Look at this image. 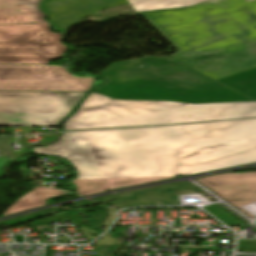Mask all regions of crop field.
I'll return each instance as SVG.
<instances>
[{"instance_id": "obj_1", "label": "crop field", "mask_w": 256, "mask_h": 256, "mask_svg": "<svg viewBox=\"0 0 256 256\" xmlns=\"http://www.w3.org/2000/svg\"><path fill=\"white\" fill-rule=\"evenodd\" d=\"M33 150L66 158L77 179L191 175L256 162V119L63 133Z\"/></svg>"}, {"instance_id": "obj_2", "label": "crop field", "mask_w": 256, "mask_h": 256, "mask_svg": "<svg viewBox=\"0 0 256 256\" xmlns=\"http://www.w3.org/2000/svg\"><path fill=\"white\" fill-rule=\"evenodd\" d=\"M143 16L179 50L172 59L215 80L256 66V0H211Z\"/></svg>"}, {"instance_id": "obj_3", "label": "crop field", "mask_w": 256, "mask_h": 256, "mask_svg": "<svg viewBox=\"0 0 256 256\" xmlns=\"http://www.w3.org/2000/svg\"><path fill=\"white\" fill-rule=\"evenodd\" d=\"M101 73L107 83L95 93L112 99L185 103L253 101L168 58L116 62Z\"/></svg>"}, {"instance_id": "obj_4", "label": "crop field", "mask_w": 256, "mask_h": 256, "mask_svg": "<svg viewBox=\"0 0 256 256\" xmlns=\"http://www.w3.org/2000/svg\"><path fill=\"white\" fill-rule=\"evenodd\" d=\"M256 117V102L185 104L170 101H122L90 94L70 116L66 130L154 125Z\"/></svg>"}, {"instance_id": "obj_5", "label": "crop field", "mask_w": 256, "mask_h": 256, "mask_svg": "<svg viewBox=\"0 0 256 256\" xmlns=\"http://www.w3.org/2000/svg\"><path fill=\"white\" fill-rule=\"evenodd\" d=\"M85 94L0 91V125L55 126Z\"/></svg>"}, {"instance_id": "obj_6", "label": "crop field", "mask_w": 256, "mask_h": 256, "mask_svg": "<svg viewBox=\"0 0 256 256\" xmlns=\"http://www.w3.org/2000/svg\"><path fill=\"white\" fill-rule=\"evenodd\" d=\"M48 24L0 26V63L48 64L63 56L66 46L61 35Z\"/></svg>"}, {"instance_id": "obj_7", "label": "crop field", "mask_w": 256, "mask_h": 256, "mask_svg": "<svg viewBox=\"0 0 256 256\" xmlns=\"http://www.w3.org/2000/svg\"><path fill=\"white\" fill-rule=\"evenodd\" d=\"M94 80L62 66L0 64V90L88 92Z\"/></svg>"}, {"instance_id": "obj_8", "label": "crop field", "mask_w": 256, "mask_h": 256, "mask_svg": "<svg viewBox=\"0 0 256 256\" xmlns=\"http://www.w3.org/2000/svg\"><path fill=\"white\" fill-rule=\"evenodd\" d=\"M208 0H49L42 3L52 24L58 29H66L81 18L99 10L130 3L137 13L155 9H180Z\"/></svg>"}, {"instance_id": "obj_9", "label": "crop field", "mask_w": 256, "mask_h": 256, "mask_svg": "<svg viewBox=\"0 0 256 256\" xmlns=\"http://www.w3.org/2000/svg\"><path fill=\"white\" fill-rule=\"evenodd\" d=\"M250 218L240 206L256 201V173L219 174L198 179Z\"/></svg>"}, {"instance_id": "obj_10", "label": "crop field", "mask_w": 256, "mask_h": 256, "mask_svg": "<svg viewBox=\"0 0 256 256\" xmlns=\"http://www.w3.org/2000/svg\"><path fill=\"white\" fill-rule=\"evenodd\" d=\"M40 0H0V24L45 22L38 11Z\"/></svg>"}, {"instance_id": "obj_11", "label": "crop field", "mask_w": 256, "mask_h": 256, "mask_svg": "<svg viewBox=\"0 0 256 256\" xmlns=\"http://www.w3.org/2000/svg\"><path fill=\"white\" fill-rule=\"evenodd\" d=\"M175 177V176H171ZM169 177L154 178H124V179H97V180H74L79 194L88 195L100 193L114 188L130 186L134 184L156 181Z\"/></svg>"}, {"instance_id": "obj_12", "label": "crop field", "mask_w": 256, "mask_h": 256, "mask_svg": "<svg viewBox=\"0 0 256 256\" xmlns=\"http://www.w3.org/2000/svg\"><path fill=\"white\" fill-rule=\"evenodd\" d=\"M61 194L66 193L54 189L38 187L16 201L6 212L3 213V216L45 205L44 200L46 198Z\"/></svg>"}, {"instance_id": "obj_13", "label": "crop field", "mask_w": 256, "mask_h": 256, "mask_svg": "<svg viewBox=\"0 0 256 256\" xmlns=\"http://www.w3.org/2000/svg\"><path fill=\"white\" fill-rule=\"evenodd\" d=\"M256 99V67L217 80Z\"/></svg>"}, {"instance_id": "obj_14", "label": "crop field", "mask_w": 256, "mask_h": 256, "mask_svg": "<svg viewBox=\"0 0 256 256\" xmlns=\"http://www.w3.org/2000/svg\"><path fill=\"white\" fill-rule=\"evenodd\" d=\"M136 199H124L112 204L113 208L136 207L141 205H156L160 201L161 205H180L173 194L160 192H145L136 195Z\"/></svg>"}, {"instance_id": "obj_15", "label": "crop field", "mask_w": 256, "mask_h": 256, "mask_svg": "<svg viewBox=\"0 0 256 256\" xmlns=\"http://www.w3.org/2000/svg\"><path fill=\"white\" fill-rule=\"evenodd\" d=\"M57 209V208H56ZM56 209H50V210H45V211H40V212H36V213H33V214H29V215H26V216H23V217H19V218H16V219H12V220H9V221H6V222H2L0 223V226H11V225H15V224H18V220L20 221L19 223H26L25 221H28V220H31V219H36L38 217H41L44 215H48L50 213H54V212H57L58 210ZM54 215V214H53ZM34 216H36V218H34ZM65 216H70L69 219H71L73 221V223L75 224V226L79 225L80 224V218L74 214H71V213H68V212H65V213H62V214H58L57 217L52 216V217H48L46 218L45 220L43 219H40V220H37L35 222H32V224L30 225H34V226H46L45 224H41L40 222H47V221H51V220H55V219H59V218H63ZM45 218V217H44ZM23 219H26V220H23ZM21 226H25V224L21 225Z\"/></svg>"}, {"instance_id": "obj_16", "label": "crop field", "mask_w": 256, "mask_h": 256, "mask_svg": "<svg viewBox=\"0 0 256 256\" xmlns=\"http://www.w3.org/2000/svg\"><path fill=\"white\" fill-rule=\"evenodd\" d=\"M180 186V182L174 183V184H169V185H164V186H158V187H152V188H146V189H140V190H135V191H130V192H125V193H120V194H115L99 199H94V201L100 203L103 202L104 205H106V202L113 201V200H119L123 198H135L134 194L141 192V191H149V190H160V191H167L170 188ZM108 206V205H106Z\"/></svg>"}, {"instance_id": "obj_17", "label": "crop field", "mask_w": 256, "mask_h": 256, "mask_svg": "<svg viewBox=\"0 0 256 256\" xmlns=\"http://www.w3.org/2000/svg\"><path fill=\"white\" fill-rule=\"evenodd\" d=\"M91 204H94V203H93V202H89V201H82V202L74 203V206H75V208H76V207H78V206L82 207V206L90 205L91 207H87V208H83V207H82V209H80V210H78V211H80V212L86 214V213H85L86 211H89V212H90L91 210H93L94 213L90 214V213L88 212L86 215L92 218V226L95 227V228H97V229H99V228L101 227V226H99V225H100V223H101V221H102V219H103L105 213L100 210L101 205L95 206L94 209H91V208H92V205H91ZM76 210H77V209H76Z\"/></svg>"}, {"instance_id": "obj_18", "label": "crop field", "mask_w": 256, "mask_h": 256, "mask_svg": "<svg viewBox=\"0 0 256 256\" xmlns=\"http://www.w3.org/2000/svg\"><path fill=\"white\" fill-rule=\"evenodd\" d=\"M207 211H209L211 214L219 218L221 221H223L228 226L237 225V224H244L225 210L219 207L218 204L210 205L203 207Z\"/></svg>"}]
</instances>
